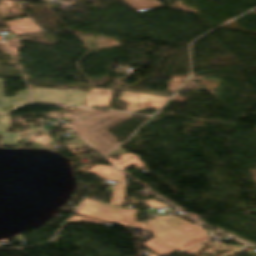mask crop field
I'll return each mask as SVG.
<instances>
[{"mask_svg":"<svg viewBox=\"0 0 256 256\" xmlns=\"http://www.w3.org/2000/svg\"><path fill=\"white\" fill-rule=\"evenodd\" d=\"M144 203L154 207V208H162V207H170L164 203H161V202H158V201H155V200H151V201H145Z\"/></svg>","mask_w":256,"mask_h":256,"instance_id":"crop-field-15","label":"crop field"},{"mask_svg":"<svg viewBox=\"0 0 256 256\" xmlns=\"http://www.w3.org/2000/svg\"><path fill=\"white\" fill-rule=\"evenodd\" d=\"M138 156L132 154V153H126L122 156H120V160H113V159H110V158H107L113 165H115L117 168H119L120 170L126 168V167H129L133 164L134 165V168L137 169V168H141V167H144V164L141 160H139L137 158ZM138 170V169H137Z\"/></svg>","mask_w":256,"mask_h":256,"instance_id":"crop-field-9","label":"crop field"},{"mask_svg":"<svg viewBox=\"0 0 256 256\" xmlns=\"http://www.w3.org/2000/svg\"><path fill=\"white\" fill-rule=\"evenodd\" d=\"M28 103L27 90H20L16 96L3 98L2 83L0 79V113H6L15 107Z\"/></svg>","mask_w":256,"mask_h":256,"instance_id":"crop-field-6","label":"crop field"},{"mask_svg":"<svg viewBox=\"0 0 256 256\" xmlns=\"http://www.w3.org/2000/svg\"><path fill=\"white\" fill-rule=\"evenodd\" d=\"M128 103L127 112L136 111L138 109L144 108H155L159 109L162 104L167 100L165 97L146 95V94H136L132 92H121L118 99Z\"/></svg>","mask_w":256,"mask_h":256,"instance_id":"crop-field-5","label":"crop field"},{"mask_svg":"<svg viewBox=\"0 0 256 256\" xmlns=\"http://www.w3.org/2000/svg\"><path fill=\"white\" fill-rule=\"evenodd\" d=\"M203 245H204V244H201V245H199V246H197V247H194V248H192V249H190V250H187V251H185V252H183V253H186V254H190V255L195 256L196 253H197V251H199V250L202 248Z\"/></svg>","mask_w":256,"mask_h":256,"instance_id":"crop-field-16","label":"crop field"},{"mask_svg":"<svg viewBox=\"0 0 256 256\" xmlns=\"http://www.w3.org/2000/svg\"><path fill=\"white\" fill-rule=\"evenodd\" d=\"M111 91L112 90L93 88L88 96L87 106L96 107L107 105L109 103Z\"/></svg>","mask_w":256,"mask_h":256,"instance_id":"crop-field-8","label":"crop field"},{"mask_svg":"<svg viewBox=\"0 0 256 256\" xmlns=\"http://www.w3.org/2000/svg\"><path fill=\"white\" fill-rule=\"evenodd\" d=\"M93 110L77 108V111L67 116L72 119V129L96 150L104 153L119 144L115 141V137L104 130L131 117V114L113 111L101 113Z\"/></svg>","mask_w":256,"mask_h":256,"instance_id":"crop-field-1","label":"crop field"},{"mask_svg":"<svg viewBox=\"0 0 256 256\" xmlns=\"http://www.w3.org/2000/svg\"><path fill=\"white\" fill-rule=\"evenodd\" d=\"M124 151H125V150H123V149H121V148L118 147L116 150H114V151L108 153V154L106 155V157H109V156H118V155L124 153Z\"/></svg>","mask_w":256,"mask_h":256,"instance_id":"crop-field-17","label":"crop field"},{"mask_svg":"<svg viewBox=\"0 0 256 256\" xmlns=\"http://www.w3.org/2000/svg\"><path fill=\"white\" fill-rule=\"evenodd\" d=\"M147 226L151 234L180 252L209 238L204 228L176 216H158Z\"/></svg>","mask_w":256,"mask_h":256,"instance_id":"crop-field-2","label":"crop field"},{"mask_svg":"<svg viewBox=\"0 0 256 256\" xmlns=\"http://www.w3.org/2000/svg\"><path fill=\"white\" fill-rule=\"evenodd\" d=\"M143 246H145L149 250L153 251L158 256H166V255L174 252L172 249L165 246L164 244H162L161 242L157 241L154 238L143 243Z\"/></svg>","mask_w":256,"mask_h":256,"instance_id":"crop-field-12","label":"crop field"},{"mask_svg":"<svg viewBox=\"0 0 256 256\" xmlns=\"http://www.w3.org/2000/svg\"><path fill=\"white\" fill-rule=\"evenodd\" d=\"M9 125L7 115H0V136H3L0 140V144L14 145L17 143L20 133H7L3 132L5 126Z\"/></svg>","mask_w":256,"mask_h":256,"instance_id":"crop-field-10","label":"crop field"},{"mask_svg":"<svg viewBox=\"0 0 256 256\" xmlns=\"http://www.w3.org/2000/svg\"><path fill=\"white\" fill-rule=\"evenodd\" d=\"M149 256H157V255H155V254L153 253V254H151V255H149Z\"/></svg>","mask_w":256,"mask_h":256,"instance_id":"crop-field-18","label":"crop field"},{"mask_svg":"<svg viewBox=\"0 0 256 256\" xmlns=\"http://www.w3.org/2000/svg\"><path fill=\"white\" fill-rule=\"evenodd\" d=\"M136 212L89 199H85L77 210L80 215L101 218L147 231L144 223L134 221Z\"/></svg>","mask_w":256,"mask_h":256,"instance_id":"crop-field-3","label":"crop field"},{"mask_svg":"<svg viewBox=\"0 0 256 256\" xmlns=\"http://www.w3.org/2000/svg\"><path fill=\"white\" fill-rule=\"evenodd\" d=\"M32 100L82 106L86 92L74 89H51L35 87L30 90Z\"/></svg>","mask_w":256,"mask_h":256,"instance_id":"crop-field-4","label":"crop field"},{"mask_svg":"<svg viewBox=\"0 0 256 256\" xmlns=\"http://www.w3.org/2000/svg\"><path fill=\"white\" fill-rule=\"evenodd\" d=\"M82 173L97 175L101 179H109L124 182L123 174L107 166L96 165Z\"/></svg>","mask_w":256,"mask_h":256,"instance_id":"crop-field-7","label":"crop field"},{"mask_svg":"<svg viewBox=\"0 0 256 256\" xmlns=\"http://www.w3.org/2000/svg\"><path fill=\"white\" fill-rule=\"evenodd\" d=\"M117 185L114 186V189H113V192H112L109 203L121 206L122 203H123V197H124L126 184L120 185L118 191H116Z\"/></svg>","mask_w":256,"mask_h":256,"instance_id":"crop-field-13","label":"crop field"},{"mask_svg":"<svg viewBox=\"0 0 256 256\" xmlns=\"http://www.w3.org/2000/svg\"><path fill=\"white\" fill-rule=\"evenodd\" d=\"M80 221H86V222H94V223H100V224H105V225H109V226H114L112 224L109 223H105V222H101V221H96V220H92V219H88V218H84V217H80V216H76L73 215L66 224H71V223H78Z\"/></svg>","mask_w":256,"mask_h":256,"instance_id":"crop-field-14","label":"crop field"},{"mask_svg":"<svg viewBox=\"0 0 256 256\" xmlns=\"http://www.w3.org/2000/svg\"><path fill=\"white\" fill-rule=\"evenodd\" d=\"M123 1L138 12L163 6L157 0H123Z\"/></svg>","mask_w":256,"mask_h":256,"instance_id":"crop-field-11","label":"crop field"}]
</instances>
